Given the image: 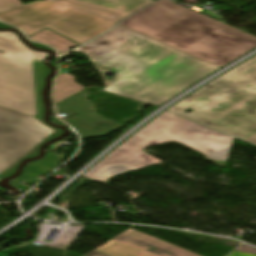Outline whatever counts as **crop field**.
Returning a JSON list of instances; mask_svg holds the SVG:
<instances>
[{"label": "crop field", "instance_id": "crop-field-10", "mask_svg": "<svg viewBox=\"0 0 256 256\" xmlns=\"http://www.w3.org/2000/svg\"><path fill=\"white\" fill-rule=\"evenodd\" d=\"M83 89L85 88L75 82L74 77L70 74H59L54 89V101L55 103H58Z\"/></svg>", "mask_w": 256, "mask_h": 256}, {"label": "crop field", "instance_id": "crop-field-15", "mask_svg": "<svg viewBox=\"0 0 256 256\" xmlns=\"http://www.w3.org/2000/svg\"><path fill=\"white\" fill-rule=\"evenodd\" d=\"M230 256H256V255L234 251Z\"/></svg>", "mask_w": 256, "mask_h": 256}, {"label": "crop field", "instance_id": "crop-field-14", "mask_svg": "<svg viewBox=\"0 0 256 256\" xmlns=\"http://www.w3.org/2000/svg\"><path fill=\"white\" fill-rule=\"evenodd\" d=\"M206 157L208 159H211V160L215 161L219 166H225V163L227 161V160H222V159L214 158V157H211V156H208V155H206Z\"/></svg>", "mask_w": 256, "mask_h": 256}, {"label": "crop field", "instance_id": "crop-field-8", "mask_svg": "<svg viewBox=\"0 0 256 256\" xmlns=\"http://www.w3.org/2000/svg\"><path fill=\"white\" fill-rule=\"evenodd\" d=\"M96 250L109 256H200L132 229Z\"/></svg>", "mask_w": 256, "mask_h": 256}, {"label": "crop field", "instance_id": "crop-field-4", "mask_svg": "<svg viewBox=\"0 0 256 256\" xmlns=\"http://www.w3.org/2000/svg\"><path fill=\"white\" fill-rule=\"evenodd\" d=\"M154 0H44L0 14L27 35L47 27L82 45ZM153 3V2H152Z\"/></svg>", "mask_w": 256, "mask_h": 256}, {"label": "crop field", "instance_id": "crop-field-1", "mask_svg": "<svg viewBox=\"0 0 256 256\" xmlns=\"http://www.w3.org/2000/svg\"><path fill=\"white\" fill-rule=\"evenodd\" d=\"M156 41L119 25L79 49L115 74L102 90L155 106L219 68Z\"/></svg>", "mask_w": 256, "mask_h": 256}, {"label": "crop field", "instance_id": "crop-field-3", "mask_svg": "<svg viewBox=\"0 0 256 256\" xmlns=\"http://www.w3.org/2000/svg\"><path fill=\"white\" fill-rule=\"evenodd\" d=\"M168 110L256 144V55Z\"/></svg>", "mask_w": 256, "mask_h": 256}, {"label": "crop field", "instance_id": "crop-field-6", "mask_svg": "<svg viewBox=\"0 0 256 256\" xmlns=\"http://www.w3.org/2000/svg\"><path fill=\"white\" fill-rule=\"evenodd\" d=\"M38 115L31 117L0 107V179L15 172L25 157H34L45 141L62 130L44 123V106L40 91L49 68L42 62H33Z\"/></svg>", "mask_w": 256, "mask_h": 256}, {"label": "crop field", "instance_id": "crop-field-2", "mask_svg": "<svg viewBox=\"0 0 256 256\" xmlns=\"http://www.w3.org/2000/svg\"><path fill=\"white\" fill-rule=\"evenodd\" d=\"M120 24L216 66L223 67L256 47V37L168 0Z\"/></svg>", "mask_w": 256, "mask_h": 256}, {"label": "crop field", "instance_id": "crop-field-7", "mask_svg": "<svg viewBox=\"0 0 256 256\" xmlns=\"http://www.w3.org/2000/svg\"><path fill=\"white\" fill-rule=\"evenodd\" d=\"M0 50V106L36 115L32 58L49 54L27 48L13 32H0Z\"/></svg>", "mask_w": 256, "mask_h": 256}, {"label": "crop field", "instance_id": "crop-field-17", "mask_svg": "<svg viewBox=\"0 0 256 256\" xmlns=\"http://www.w3.org/2000/svg\"><path fill=\"white\" fill-rule=\"evenodd\" d=\"M29 188V187H28ZM27 189V188H26ZM23 190H25V189H23Z\"/></svg>", "mask_w": 256, "mask_h": 256}, {"label": "crop field", "instance_id": "crop-field-11", "mask_svg": "<svg viewBox=\"0 0 256 256\" xmlns=\"http://www.w3.org/2000/svg\"><path fill=\"white\" fill-rule=\"evenodd\" d=\"M30 39H33L35 41L47 43L59 50V53L66 52L70 50L71 47L77 45L76 43L48 30L45 29L31 37Z\"/></svg>", "mask_w": 256, "mask_h": 256}, {"label": "crop field", "instance_id": "crop-field-12", "mask_svg": "<svg viewBox=\"0 0 256 256\" xmlns=\"http://www.w3.org/2000/svg\"><path fill=\"white\" fill-rule=\"evenodd\" d=\"M38 1H41V0H38ZM34 2H37V1H34ZM34 2L23 4L22 2H20L18 0H0V13L7 11V10L17 8V7L24 6L27 4H31Z\"/></svg>", "mask_w": 256, "mask_h": 256}, {"label": "crop field", "instance_id": "crop-field-9", "mask_svg": "<svg viewBox=\"0 0 256 256\" xmlns=\"http://www.w3.org/2000/svg\"><path fill=\"white\" fill-rule=\"evenodd\" d=\"M56 107L58 114L66 113L71 117L67 122L77 129L83 139L106 135L124 125L92 115L81 92L56 104ZM75 114L78 116L75 117Z\"/></svg>", "mask_w": 256, "mask_h": 256}, {"label": "crop field", "instance_id": "crop-field-5", "mask_svg": "<svg viewBox=\"0 0 256 256\" xmlns=\"http://www.w3.org/2000/svg\"><path fill=\"white\" fill-rule=\"evenodd\" d=\"M233 140L228 135L165 111L84 175L89 179L107 182L110 177L125 171L160 163L143 150L169 141H178L201 153L227 159Z\"/></svg>", "mask_w": 256, "mask_h": 256}, {"label": "crop field", "instance_id": "crop-field-16", "mask_svg": "<svg viewBox=\"0 0 256 256\" xmlns=\"http://www.w3.org/2000/svg\"><path fill=\"white\" fill-rule=\"evenodd\" d=\"M85 256H106V255L94 250V251L90 252L89 254H87Z\"/></svg>", "mask_w": 256, "mask_h": 256}, {"label": "crop field", "instance_id": "crop-field-13", "mask_svg": "<svg viewBox=\"0 0 256 256\" xmlns=\"http://www.w3.org/2000/svg\"><path fill=\"white\" fill-rule=\"evenodd\" d=\"M31 178H33V177H30V176H27V175H23V174H22L20 178H18V179H16V180L12 181V182H11V185L14 186L15 188H17L18 190H20V189L24 188L25 186L20 185V184L18 183L19 181H23V182L28 183V184H30V185L36 183V182L33 181Z\"/></svg>", "mask_w": 256, "mask_h": 256}]
</instances>
